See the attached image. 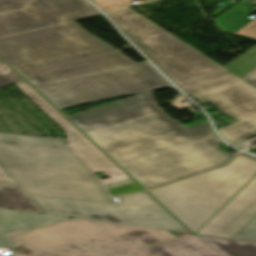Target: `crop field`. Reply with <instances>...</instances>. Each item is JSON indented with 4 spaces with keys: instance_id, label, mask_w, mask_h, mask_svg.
Instances as JSON below:
<instances>
[{
    "instance_id": "crop-field-13",
    "label": "crop field",
    "mask_w": 256,
    "mask_h": 256,
    "mask_svg": "<svg viewBox=\"0 0 256 256\" xmlns=\"http://www.w3.org/2000/svg\"><path fill=\"white\" fill-rule=\"evenodd\" d=\"M0 207L41 213L16 185L0 188Z\"/></svg>"
},
{
    "instance_id": "crop-field-8",
    "label": "crop field",
    "mask_w": 256,
    "mask_h": 256,
    "mask_svg": "<svg viewBox=\"0 0 256 256\" xmlns=\"http://www.w3.org/2000/svg\"><path fill=\"white\" fill-rule=\"evenodd\" d=\"M256 214V175L195 234L230 239Z\"/></svg>"
},
{
    "instance_id": "crop-field-15",
    "label": "crop field",
    "mask_w": 256,
    "mask_h": 256,
    "mask_svg": "<svg viewBox=\"0 0 256 256\" xmlns=\"http://www.w3.org/2000/svg\"><path fill=\"white\" fill-rule=\"evenodd\" d=\"M223 67L238 77H243L256 68V46Z\"/></svg>"
},
{
    "instance_id": "crop-field-6",
    "label": "crop field",
    "mask_w": 256,
    "mask_h": 256,
    "mask_svg": "<svg viewBox=\"0 0 256 256\" xmlns=\"http://www.w3.org/2000/svg\"><path fill=\"white\" fill-rule=\"evenodd\" d=\"M107 15L177 86L227 71L130 8Z\"/></svg>"
},
{
    "instance_id": "crop-field-11",
    "label": "crop field",
    "mask_w": 256,
    "mask_h": 256,
    "mask_svg": "<svg viewBox=\"0 0 256 256\" xmlns=\"http://www.w3.org/2000/svg\"><path fill=\"white\" fill-rule=\"evenodd\" d=\"M153 256H220L194 235L143 247Z\"/></svg>"
},
{
    "instance_id": "crop-field-17",
    "label": "crop field",
    "mask_w": 256,
    "mask_h": 256,
    "mask_svg": "<svg viewBox=\"0 0 256 256\" xmlns=\"http://www.w3.org/2000/svg\"><path fill=\"white\" fill-rule=\"evenodd\" d=\"M24 80L19 77L10 67L0 60V87L11 85Z\"/></svg>"
},
{
    "instance_id": "crop-field-7",
    "label": "crop field",
    "mask_w": 256,
    "mask_h": 256,
    "mask_svg": "<svg viewBox=\"0 0 256 256\" xmlns=\"http://www.w3.org/2000/svg\"><path fill=\"white\" fill-rule=\"evenodd\" d=\"M179 87L199 102H209L225 115L239 120L218 129L231 144L256 136L254 86L228 71Z\"/></svg>"
},
{
    "instance_id": "crop-field-1",
    "label": "crop field",
    "mask_w": 256,
    "mask_h": 256,
    "mask_svg": "<svg viewBox=\"0 0 256 256\" xmlns=\"http://www.w3.org/2000/svg\"><path fill=\"white\" fill-rule=\"evenodd\" d=\"M99 14L86 0H0V57L58 110L170 87L73 21Z\"/></svg>"
},
{
    "instance_id": "crop-field-16",
    "label": "crop field",
    "mask_w": 256,
    "mask_h": 256,
    "mask_svg": "<svg viewBox=\"0 0 256 256\" xmlns=\"http://www.w3.org/2000/svg\"><path fill=\"white\" fill-rule=\"evenodd\" d=\"M231 239L256 242V215L244 225Z\"/></svg>"
},
{
    "instance_id": "crop-field-19",
    "label": "crop field",
    "mask_w": 256,
    "mask_h": 256,
    "mask_svg": "<svg viewBox=\"0 0 256 256\" xmlns=\"http://www.w3.org/2000/svg\"><path fill=\"white\" fill-rule=\"evenodd\" d=\"M102 182L105 184L107 189L134 183V181H132L126 174L103 179Z\"/></svg>"
},
{
    "instance_id": "crop-field-4",
    "label": "crop field",
    "mask_w": 256,
    "mask_h": 256,
    "mask_svg": "<svg viewBox=\"0 0 256 256\" xmlns=\"http://www.w3.org/2000/svg\"><path fill=\"white\" fill-rule=\"evenodd\" d=\"M9 238L19 243L9 256H152L141 247L176 237L165 230L73 218Z\"/></svg>"
},
{
    "instance_id": "crop-field-21",
    "label": "crop field",
    "mask_w": 256,
    "mask_h": 256,
    "mask_svg": "<svg viewBox=\"0 0 256 256\" xmlns=\"http://www.w3.org/2000/svg\"><path fill=\"white\" fill-rule=\"evenodd\" d=\"M13 184L14 183L12 182V180L7 176V174L0 167V187L9 186Z\"/></svg>"
},
{
    "instance_id": "crop-field-20",
    "label": "crop field",
    "mask_w": 256,
    "mask_h": 256,
    "mask_svg": "<svg viewBox=\"0 0 256 256\" xmlns=\"http://www.w3.org/2000/svg\"><path fill=\"white\" fill-rule=\"evenodd\" d=\"M237 34L256 39V20L252 22L250 25H248L247 27H245L244 29H242Z\"/></svg>"
},
{
    "instance_id": "crop-field-24",
    "label": "crop field",
    "mask_w": 256,
    "mask_h": 256,
    "mask_svg": "<svg viewBox=\"0 0 256 256\" xmlns=\"http://www.w3.org/2000/svg\"><path fill=\"white\" fill-rule=\"evenodd\" d=\"M249 2L253 3L254 5H256V0H250Z\"/></svg>"
},
{
    "instance_id": "crop-field-23",
    "label": "crop field",
    "mask_w": 256,
    "mask_h": 256,
    "mask_svg": "<svg viewBox=\"0 0 256 256\" xmlns=\"http://www.w3.org/2000/svg\"><path fill=\"white\" fill-rule=\"evenodd\" d=\"M104 173L107 174L109 177H111V176H117V175H120V174H124L123 171H121V172H112V173H106V172H104Z\"/></svg>"
},
{
    "instance_id": "crop-field-14",
    "label": "crop field",
    "mask_w": 256,
    "mask_h": 256,
    "mask_svg": "<svg viewBox=\"0 0 256 256\" xmlns=\"http://www.w3.org/2000/svg\"><path fill=\"white\" fill-rule=\"evenodd\" d=\"M252 13L244 8L242 2H239L214 20L222 30L235 32L251 20L247 16Z\"/></svg>"
},
{
    "instance_id": "crop-field-10",
    "label": "crop field",
    "mask_w": 256,
    "mask_h": 256,
    "mask_svg": "<svg viewBox=\"0 0 256 256\" xmlns=\"http://www.w3.org/2000/svg\"><path fill=\"white\" fill-rule=\"evenodd\" d=\"M65 218L0 208V247H8L16 244L4 238L7 235L26 231Z\"/></svg>"
},
{
    "instance_id": "crop-field-18",
    "label": "crop field",
    "mask_w": 256,
    "mask_h": 256,
    "mask_svg": "<svg viewBox=\"0 0 256 256\" xmlns=\"http://www.w3.org/2000/svg\"><path fill=\"white\" fill-rule=\"evenodd\" d=\"M92 1H94L105 12H110L117 9L132 6L131 1H134V0H92ZM143 1L147 2L151 0H143Z\"/></svg>"
},
{
    "instance_id": "crop-field-22",
    "label": "crop field",
    "mask_w": 256,
    "mask_h": 256,
    "mask_svg": "<svg viewBox=\"0 0 256 256\" xmlns=\"http://www.w3.org/2000/svg\"><path fill=\"white\" fill-rule=\"evenodd\" d=\"M256 87V69L241 78Z\"/></svg>"
},
{
    "instance_id": "crop-field-2",
    "label": "crop field",
    "mask_w": 256,
    "mask_h": 256,
    "mask_svg": "<svg viewBox=\"0 0 256 256\" xmlns=\"http://www.w3.org/2000/svg\"><path fill=\"white\" fill-rule=\"evenodd\" d=\"M68 119L145 190L222 166L208 121L185 127L156 104L152 91Z\"/></svg>"
},
{
    "instance_id": "crop-field-3",
    "label": "crop field",
    "mask_w": 256,
    "mask_h": 256,
    "mask_svg": "<svg viewBox=\"0 0 256 256\" xmlns=\"http://www.w3.org/2000/svg\"><path fill=\"white\" fill-rule=\"evenodd\" d=\"M0 166L42 213L190 233L146 192L111 202L65 140L0 133Z\"/></svg>"
},
{
    "instance_id": "crop-field-12",
    "label": "crop field",
    "mask_w": 256,
    "mask_h": 256,
    "mask_svg": "<svg viewBox=\"0 0 256 256\" xmlns=\"http://www.w3.org/2000/svg\"><path fill=\"white\" fill-rule=\"evenodd\" d=\"M197 237L222 256H256V243L233 241L203 236Z\"/></svg>"
},
{
    "instance_id": "crop-field-5",
    "label": "crop field",
    "mask_w": 256,
    "mask_h": 256,
    "mask_svg": "<svg viewBox=\"0 0 256 256\" xmlns=\"http://www.w3.org/2000/svg\"><path fill=\"white\" fill-rule=\"evenodd\" d=\"M256 174V158L241 152L222 167L148 191L195 233Z\"/></svg>"
},
{
    "instance_id": "crop-field-9",
    "label": "crop field",
    "mask_w": 256,
    "mask_h": 256,
    "mask_svg": "<svg viewBox=\"0 0 256 256\" xmlns=\"http://www.w3.org/2000/svg\"><path fill=\"white\" fill-rule=\"evenodd\" d=\"M36 105L46 112L64 130L70 147L82 158L93 171H120L110 159L101 153L80 132H78L68 121L62 118L57 111L40 97L26 82L16 84Z\"/></svg>"
}]
</instances>
